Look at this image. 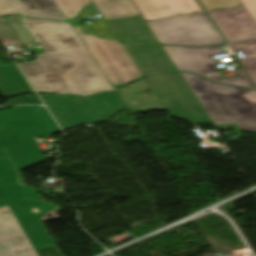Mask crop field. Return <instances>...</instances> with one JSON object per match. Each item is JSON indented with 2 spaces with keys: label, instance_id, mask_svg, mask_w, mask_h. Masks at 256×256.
Segmentation results:
<instances>
[{
  "label": "crop field",
  "instance_id": "crop-field-26",
  "mask_svg": "<svg viewBox=\"0 0 256 256\" xmlns=\"http://www.w3.org/2000/svg\"><path fill=\"white\" fill-rule=\"evenodd\" d=\"M256 22V0H240ZM246 10V11H247Z\"/></svg>",
  "mask_w": 256,
  "mask_h": 256
},
{
  "label": "crop field",
  "instance_id": "crop-field-3",
  "mask_svg": "<svg viewBox=\"0 0 256 256\" xmlns=\"http://www.w3.org/2000/svg\"><path fill=\"white\" fill-rule=\"evenodd\" d=\"M43 160L32 136L0 130V191L5 200L41 199L17 177L18 169Z\"/></svg>",
  "mask_w": 256,
  "mask_h": 256
},
{
  "label": "crop field",
  "instance_id": "crop-field-12",
  "mask_svg": "<svg viewBox=\"0 0 256 256\" xmlns=\"http://www.w3.org/2000/svg\"><path fill=\"white\" fill-rule=\"evenodd\" d=\"M228 42L255 38L256 23L244 6L209 12Z\"/></svg>",
  "mask_w": 256,
  "mask_h": 256
},
{
  "label": "crop field",
  "instance_id": "crop-field-16",
  "mask_svg": "<svg viewBox=\"0 0 256 256\" xmlns=\"http://www.w3.org/2000/svg\"><path fill=\"white\" fill-rule=\"evenodd\" d=\"M145 22L142 16L107 21L121 41L159 43Z\"/></svg>",
  "mask_w": 256,
  "mask_h": 256
},
{
  "label": "crop field",
  "instance_id": "crop-field-4",
  "mask_svg": "<svg viewBox=\"0 0 256 256\" xmlns=\"http://www.w3.org/2000/svg\"><path fill=\"white\" fill-rule=\"evenodd\" d=\"M41 99L63 130L108 119L125 108L116 92L83 99L53 95Z\"/></svg>",
  "mask_w": 256,
  "mask_h": 256
},
{
  "label": "crop field",
  "instance_id": "crop-field-11",
  "mask_svg": "<svg viewBox=\"0 0 256 256\" xmlns=\"http://www.w3.org/2000/svg\"><path fill=\"white\" fill-rule=\"evenodd\" d=\"M0 256H38L9 206L0 208Z\"/></svg>",
  "mask_w": 256,
  "mask_h": 256
},
{
  "label": "crop field",
  "instance_id": "crop-field-1",
  "mask_svg": "<svg viewBox=\"0 0 256 256\" xmlns=\"http://www.w3.org/2000/svg\"><path fill=\"white\" fill-rule=\"evenodd\" d=\"M24 20L47 53L18 64L36 91L90 95L113 89L69 23Z\"/></svg>",
  "mask_w": 256,
  "mask_h": 256
},
{
  "label": "crop field",
  "instance_id": "crop-field-20",
  "mask_svg": "<svg viewBox=\"0 0 256 256\" xmlns=\"http://www.w3.org/2000/svg\"><path fill=\"white\" fill-rule=\"evenodd\" d=\"M230 44L235 51H242L245 58L240 59V61L256 83V39L232 42Z\"/></svg>",
  "mask_w": 256,
  "mask_h": 256
},
{
  "label": "crop field",
  "instance_id": "crop-field-8",
  "mask_svg": "<svg viewBox=\"0 0 256 256\" xmlns=\"http://www.w3.org/2000/svg\"><path fill=\"white\" fill-rule=\"evenodd\" d=\"M163 46V45H162ZM178 71H187L213 81L255 89L244 70L235 71L237 76L221 78L212 67L216 62L212 55L224 53L216 46L205 48L163 46Z\"/></svg>",
  "mask_w": 256,
  "mask_h": 256
},
{
  "label": "crop field",
  "instance_id": "crop-field-9",
  "mask_svg": "<svg viewBox=\"0 0 256 256\" xmlns=\"http://www.w3.org/2000/svg\"><path fill=\"white\" fill-rule=\"evenodd\" d=\"M11 210L34 246L35 250L55 247L42 222L58 220L60 217L47 202H8ZM50 214L52 218H48Z\"/></svg>",
  "mask_w": 256,
  "mask_h": 256
},
{
  "label": "crop field",
  "instance_id": "crop-field-10",
  "mask_svg": "<svg viewBox=\"0 0 256 256\" xmlns=\"http://www.w3.org/2000/svg\"><path fill=\"white\" fill-rule=\"evenodd\" d=\"M0 129L44 138L60 131L46 108L42 106H22L0 112Z\"/></svg>",
  "mask_w": 256,
  "mask_h": 256
},
{
  "label": "crop field",
  "instance_id": "crop-field-6",
  "mask_svg": "<svg viewBox=\"0 0 256 256\" xmlns=\"http://www.w3.org/2000/svg\"><path fill=\"white\" fill-rule=\"evenodd\" d=\"M146 78L169 115L192 124L211 122L180 72L156 74Z\"/></svg>",
  "mask_w": 256,
  "mask_h": 256
},
{
  "label": "crop field",
  "instance_id": "crop-field-18",
  "mask_svg": "<svg viewBox=\"0 0 256 256\" xmlns=\"http://www.w3.org/2000/svg\"><path fill=\"white\" fill-rule=\"evenodd\" d=\"M15 2L26 16L66 21L53 0H15Z\"/></svg>",
  "mask_w": 256,
  "mask_h": 256
},
{
  "label": "crop field",
  "instance_id": "crop-field-23",
  "mask_svg": "<svg viewBox=\"0 0 256 256\" xmlns=\"http://www.w3.org/2000/svg\"><path fill=\"white\" fill-rule=\"evenodd\" d=\"M200 1L204 5V7L207 9V11L242 5L239 0H200Z\"/></svg>",
  "mask_w": 256,
  "mask_h": 256
},
{
  "label": "crop field",
  "instance_id": "crop-field-14",
  "mask_svg": "<svg viewBox=\"0 0 256 256\" xmlns=\"http://www.w3.org/2000/svg\"><path fill=\"white\" fill-rule=\"evenodd\" d=\"M146 22L201 13L195 0H132Z\"/></svg>",
  "mask_w": 256,
  "mask_h": 256
},
{
  "label": "crop field",
  "instance_id": "crop-field-15",
  "mask_svg": "<svg viewBox=\"0 0 256 256\" xmlns=\"http://www.w3.org/2000/svg\"><path fill=\"white\" fill-rule=\"evenodd\" d=\"M116 92L129 110L165 109L146 78Z\"/></svg>",
  "mask_w": 256,
  "mask_h": 256
},
{
  "label": "crop field",
  "instance_id": "crop-field-25",
  "mask_svg": "<svg viewBox=\"0 0 256 256\" xmlns=\"http://www.w3.org/2000/svg\"><path fill=\"white\" fill-rule=\"evenodd\" d=\"M17 104H41V101L39 100L38 96L29 95V96L18 97L3 105H17Z\"/></svg>",
  "mask_w": 256,
  "mask_h": 256
},
{
  "label": "crop field",
  "instance_id": "crop-field-27",
  "mask_svg": "<svg viewBox=\"0 0 256 256\" xmlns=\"http://www.w3.org/2000/svg\"><path fill=\"white\" fill-rule=\"evenodd\" d=\"M98 11L96 10V8L94 7L93 3H91L90 5H88L83 11L82 13L77 17V19L79 18H84V17H89V16H93L95 14H97Z\"/></svg>",
  "mask_w": 256,
  "mask_h": 256
},
{
  "label": "crop field",
  "instance_id": "crop-field-19",
  "mask_svg": "<svg viewBox=\"0 0 256 256\" xmlns=\"http://www.w3.org/2000/svg\"><path fill=\"white\" fill-rule=\"evenodd\" d=\"M105 20L138 16L131 0H94Z\"/></svg>",
  "mask_w": 256,
  "mask_h": 256
},
{
  "label": "crop field",
  "instance_id": "crop-field-17",
  "mask_svg": "<svg viewBox=\"0 0 256 256\" xmlns=\"http://www.w3.org/2000/svg\"><path fill=\"white\" fill-rule=\"evenodd\" d=\"M21 74L16 64L0 65V90L3 96L33 93Z\"/></svg>",
  "mask_w": 256,
  "mask_h": 256
},
{
  "label": "crop field",
  "instance_id": "crop-field-7",
  "mask_svg": "<svg viewBox=\"0 0 256 256\" xmlns=\"http://www.w3.org/2000/svg\"><path fill=\"white\" fill-rule=\"evenodd\" d=\"M72 26L78 32L114 88L143 77V74L134 64L121 42L97 38L96 35L83 33L78 25Z\"/></svg>",
  "mask_w": 256,
  "mask_h": 256
},
{
  "label": "crop field",
  "instance_id": "crop-field-24",
  "mask_svg": "<svg viewBox=\"0 0 256 256\" xmlns=\"http://www.w3.org/2000/svg\"><path fill=\"white\" fill-rule=\"evenodd\" d=\"M11 14H21L13 0H0V17Z\"/></svg>",
  "mask_w": 256,
  "mask_h": 256
},
{
  "label": "crop field",
  "instance_id": "crop-field-2",
  "mask_svg": "<svg viewBox=\"0 0 256 256\" xmlns=\"http://www.w3.org/2000/svg\"><path fill=\"white\" fill-rule=\"evenodd\" d=\"M181 74L214 124L236 123L240 131L256 132V91Z\"/></svg>",
  "mask_w": 256,
  "mask_h": 256
},
{
  "label": "crop field",
  "instance_id": "crop-field-13",
  "mask_svg": "<svg viewBox=\"0 0 256 256\" xmlns=\"http://www.w3.org/2000/svg\"><path fill=\"white\" fill-rule=\"evenodd\" d=\"M122 44L144 76L159 72L177 71L161 45Z\"/></svg>",
  "mask_w": 256,
  "mask_h": 256
},
{
  "label": "crop field",
  "instance_id": "crop-field-5",
  "mask_svg": "<svg viewBox=\"0 0 256 256\" xmlns=\"http://www.w3.org/2000/svg\"><path fill=\"white\" fill-rule=\"evenodd\" d=\"M147 24L161 44L205 46L224 42L205 13Z\"/></svg>",
  "mask_w": 256,
  "mask_h": 256
},
{
  "label": "crop field",
  "instance_id": "crop-field-21",
  "mask_svg": "<svg viewBox=\"0 0 256 256\" xmlns=\"http://www.w3.org/2000/svg\"><path fill=\"white\" fill-rule=\"evenodd\" d=\"M65 18H76L80 12L92 1L91 0H54Z\"/></svg>",
  "mask_w": 256,
  "mask_h": 256
},
{
  "label": "crop field",
  "instance_id": "crop-field-22",
  "mask_svg": "<svg viewBox=\"0 0 256 256\" xmlns=\"http://www.w3.org/2000/svg\"><path fill=\"white\" fill-rule=\"evenodd\" d=\"M93 22L94 25L81 26L86 33H96L99 37L118 40L104 19Z\"/></svg>",
  "mask_w": 256,
  "mask_h": 256
}]
</instances>
